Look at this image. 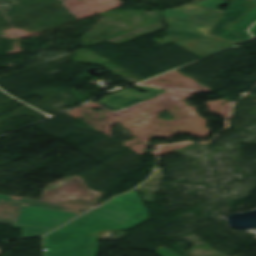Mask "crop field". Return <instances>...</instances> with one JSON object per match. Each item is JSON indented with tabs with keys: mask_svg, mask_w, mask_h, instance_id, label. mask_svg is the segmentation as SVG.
Returning <instances> with one entry per match:
<instances>
[{
	"mask_svg": "<svg viewBox=\"0 0 256 256\" xmlns=\"http://www.w3.org/2000/svg\"><path fill=\"white\" fill-rule=\"evenodd\" d=\"M256 22V6L246 14L237 24L231 25L229 29L235 30L241 36L243 41H246L251 38L247 33V28Z\"/></svg>",
	"mask_w": 256,
	"mask_h": 256,
	"instance_id": "10",
	"label": "crop field"
},
{
	"mask_svg": "<svg viewBox=\"0 0 256 256\" xmlns=\"http://www.w3.org/2000/svg\"><path fill=\"white\" fill-rule=\"evenodd\" d=\"M250 32L256 37V25L251 27Z\"/></svg>",
	"mask_w": 256,
	"mask_h": 256,
	"instance_id": "17",
	"label": "crop field"
},
{
	"mask_svg": "<svg viewBox=\"0 0 256 256\" xmlns=\"http://www.w3.org/2000/svg\"><path fill=\"white\" fill-rule=\"evenodd\" d=\"M177 40H179V39H176V38H173V37L165 36L163 40H156V42H157L158 44L162 45V44H165V43H167V42H170V41L173 42V41H177Z\"/></svg>",
	"mask_w": 256,
	"mask_h": 256,
	"instance_id": "16",
	"label": "crop field"
},
{
	"mask_svg": "<svg viewBox=\"0 0 256 256\" xmlns=\"http://www.w3.org/2000/svg\"><path fill=\"white\" fill-rule=\"evenodd\" d=\"M100 194L90 191L79 177H69L41 200L88 207L96 203Z\"/></svg>",
	"mask_w": 256,
	"mask_h": 256,
	"instance_id": "2",
	"label": "crop field"
},
{
	"mask_svg": "<svg viewBox=\"0 0 256 256\" xmlns=\"http://www.w3.org/2000/svg\"><path fill=\"white\" fill-rule=\"evenodd\" d=\"M156 254H158L160 256H177L176 254H174L173 252L169 251L166 248H159L158 252H156Z\"/></svg>",
	"mask_w": 256,
	"mask_h": 256,
	"instance_id": "15",
	"label": "crop field"
},
{
	"mask_svg": "<svg viewBox=\"0 0 256 256\" xmlns=\"http://www.w3.org/2000/svg\"><path fill=\"white\" fill-rule=\"evenodd\" d=\"M227 3H229V2L223 1V0H206V1H203V2H200V3H197V4H200V5L218 10L217 8L219 6H222V5L227 4ZM218 11H220V10H218Z\"/></svg>",
	"mask_w": 256,
	"mask_h": 256,
	"instance_id": "12",
	"label": "crop field"
},
{
	"mask_svg": "<svg viewBox=\"0 0 256 256\" xmlns=\"http://www.w3.org/2000/svg\"><path fill=\"white\" fill-rule=\"evenodd\" d=\"M168 23L169 29L166 31L169 35L181 39H195V38H211L209 34L212 29L211 26L202 25L190 20H182L175 18L164 17Z\"/></svg>",
	"mask_w": 256,
	"mask_h": 256,
	"instance_id": "5",
	"label": "crop field"
},
{
	"mask_svg": "<svg viewBox=\"0 0 256 256\" xmlns=\"http://www.w3.org/2000/svg\"><path fill=\"white\" fill-rule=\"evenodd\" d=\"M76 215L78 214L23 207L15 224L55 229Z\"/></svg>",
	"mask_w": 256,
	"mask_h": 256,
	"instance_id": "3",
	"label": "crop field"
},
{
	"mask_svg": "<svg viewBox=\"0 0 256 256\" xmlns=\"http://www.w3.org/2000/svg\"><path fill=\"white\" fill-rule=\"evenodd\" d=\"M255 2L256 0H233L210 33L220 37L226 30L225 28L235 22Z\"/></svg>",
	"mask_w": 256,
	"mask_h": 256,
	"instance_id": "8",
	"label": "crop field"
},
{
	"mask_svg": "<svg viewBox=\"0 0 256 256\" xmlns=\"http://www.w3.org/2000/svg\"><path fill=\"white\" fill-rule=\"evenodd\" d=\"M173 43L202 58L236 45L219 39L179 40Z\"/></svg>",
	"mask_w": 256,
	"mask_h": 256,
	"instance_id": "7",
	"label": "crop field"
},
{
	"mask_svg": "<svg viewBox=\"0 0 256 256\" xmlns=\"http://www.w3.org/2000/svg\"><path fill=\"white\" fill-rule=\"evenodd\" d=\"M220 38L242 43V41L238 39V35H236L233 31L226 30Z\"/></svg>",
	"mask_w": 256,
	"mask_h": 256,
	"instance_id": "14",
	"label": "crop field"
},
{
	"mask_svg": "<svg viewBox=\"0 0 256 256\" xmlns=\"http://www.w3.org/2000/svg\"><path fill=\"white\" fill-rule=\"evenodd\" d=\"M148 218L134 191L112 199L86 215L44 237V256H96L99 244L92 233L129 229Z\"/></svg>",
	"mask_w": 256,
	"mask_h": 256,
	"instance_id": "1",
	"label": "crop field"
},
{
	"mask_svg": "<svg viewBox=\"0 0 256 256\" xmlns=\"http://www.w3.org/2000/svg\"><path fill=\"white\" fill-rule=\"evenodd\" d=\"M174 9L183 10L189 16H191L194 21L211 26H214V24L216 23L215 21L221 14V12L205 8L196 4L182 6Z\"/></svg>",
	"mask_w": 256,
	"mask_h": 256,
	"instance_id": "9",
	"label": "crop field"
},
{
	"mask_svg": "<svg viewBox=\"0 0 256 256\" xmlns=\"http://www.w3.org/2000/svg\"><path fill=\"white\" fill-rule=\"evenodd\" d=\"M12 226L21 228L22 237L42 235L50 231V229L37 228V227H25V226H15V225H12Z\"/></svg>",
	"mask_w": 256,
	"mask_h": 256,
	"instance_id": "11",
	"label": "crop field"
},
{
	"mask_svg": "<svg viewBox=\"0 0 256 256\" xmlns=\"http://www.w3.org/2000/svg\"><path fill=\"white\" fill-rule=\"evenodd\" d=\"M134 87L145 89L149 91L151 94L150 95L141 94V93L133 92L126 89L124 91L108 95L106 98L102 99L100 103L105 107L115 111L120 108L132 105L134 103L143 101L145 99H148L150 97H153L155 95L165 92V91L157 90L150 87H142V86H134Z\"/></svg>",
	"mask_w": 256,
	"mask_h": 256,
	"instance_id": "6",
	"label": "crop field"
},
{
	"mask_svg": "<svg viewBox=\"0 0 256 256\" xmlns=\"http://www.w3.org/2000/svg\"><path fill=\"white\" fill-rule=\"evenodd\" d=\"M22 206L76 213L84 208L11 196L10 201H0V221L13 224Z\"/></svg>",
	"mask_w": 256,
	"mask_h": 256,
	"instance_id": "4",
	"label": "crop field"
},
{
	"mask_svg": "<svg viewBox=\"0 0 256 256\" xmlns=\"http://www.w3.org/2000/svg\"><path fill=\"white\" fill-rule=\"evenodd\" d=\"M164 16L191 19L187 14H185L182 11L170 10V9L165 10Z\"/></svg>",
	"mask_w": 256,
	"mask_h": 256,
	"instance_id": "13",
	"label": "crop field"
},
{
	"mask_svg": "<svg viewBox=\"0 0 256 256\" xmlns=\"http://www.w3.org/2000/svg\"><path fill=\"white\" fill-rule=\"evenodd\" d=\"M1 199L9 200V199H10V196H7V195H0V200H1Z\"/></svg>",
	"mask_w": 256,
	"mask_h": 256,
	"instance_id": "18",
	"label": "crop field"
}]
</instances>
